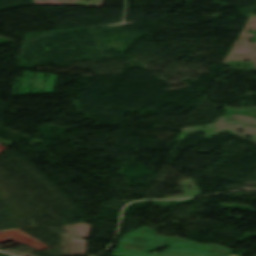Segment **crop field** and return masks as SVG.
Listing matches in <instances>:
<instances>
[{"mask_svg": "<svg viewBox=\"0 0 256 256\" xmlns=\"http://www.w3.org/2000/svg\"><path fill=\"white\" fill-rule=\"evenodd\" d=\"M156 247L120 243L112 256H228L204 249L180 247L169 248L162 253H151Z\"/></svg>", "mask_w": 256, "mask_h": 256, "instance_id": "crop-field-1", "label": "crop field"}, {"mask_svg": "<svg viewBox=\"0 0 256 256\" xmlns=\"http://www.w3.org/2000/svg\"><path fill=\"white\" fill-rule=\"evenodd\" d=\"M143 229H138L136 231H133L131 233H128L123 236L120 242H125V243H134L137 244V240L140 236V234L143 232ZM166 238L150 235L144 233L143 237L139 241L138 244H143V245H152V246H164L166 242Z\"/></svg>", "mask_w": 256, "mask_h": 256, "instance_id": "crop-field-2", "label": "crop field"}, {"mask_svg": "<svg viewBox=\"0 0 256 256\" xmlns=\"http://www.w3.org/2000/svg\"><path fill=\"white\" fill-rule=\"evenodd\" d=\"M178 245H191V246H197V247H202V248L218 250V251H222V252H226V253L230 252V249H226L219 245H214V244L205 245V244H199V243H196L193 241L172 242L170 246H178Z\"/></svg>", "mask_w": 256, "mask_h": 256, "instance_id": "crop-field-3", "label": "crop field"}, {"mask_svg": "<svg viewBox=\"0 0 256 256\" xmlns=\"http://www.w3.org/2000/svg\"><path fill=\"white\" fill-rule=\"evenodd\" d=\"M0 143L8 145V146H11L12 144H14V143H11V142H8V141H4V140H1V139H0Z\"/></svg>", "mask_w": 256, "mask_h": 256, "instance_id": "crop-field-4", "label": "crop field"}, {"mask_svg": "<svg viewBox=\"0 0 256 256\" xmlns=\"http://www.w3.org/2000/svg\"><path fill=\"white\" fill-rule=\"evenodd\" d=\"M231 256V255H230Z\"/></svg>", "mask_w": 256, "mask_h": 256, "instance_id": "crop-field-5", "label": "crop field"}]
</instances>
